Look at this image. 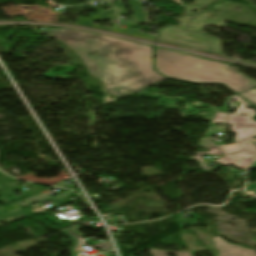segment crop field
<instances>
[{"mask_svg":"<svg viewBox=\"0 0 256 256\" xmlns=\"http://www.w3.org/2000/svg\"><path fill=\"white\" fill-rule=\"evenodd\" d=\"M50 31L55 39L72 48L79 55L92 76L102 78V69L109 64H116L127 70L124 75L125 82L104 84V89L114 96L165 79L152 70L151 47L70 29H50ZM89 40L108 42L116 50L89 56L86 50Z\"/></svg>","mask_w":256,"mask_h":256,"instance_id":"8a807250","label":"crop field"},{"mask_svg":"<svg viewBox=\"0 0 256 256\" xmlns=\"http://www.w3.org/2000/svg\"><path fill=\"white\" fill-rule=\"evenodd\" d=\"M209 16L207 12L181 16L177 18L181 22L180 27L167 26L159 30L158 40L222 54L219 39L200 33L205 25L223 26V20L208 18ZM191 19L194 20L191 22ZM189 26L192 27L188 28Z\"/></svg>","mask_w":256,"mask_h":256,"instance_id":"ac0d7876","label":"crop field"},{"mask_svg":"<svg viewBox=\"0 0 256 256\" xmlns=\"http://www.w3.org/2000/svg\"><path fill=\"white\" fill-rule=\"evenodd\" d=\"M178 79L195 83H223L237 93L256 87V82L235 72L229 65L211 60Z\"/></svg>","mask_w":256,"mask_h":256,"instance_id":"34b2d1b8","label":"crop field"},{"mask_svg":"<svg viewBox=\"0 0 256 256\" xmlns=\"http://www.w3.org/2000/svg\"><path fill=\"white\" fill-rule=\"evenodd\" d=\"M182 52H171L155 49V68L169 78L176 79L207 60L193 57L189 54L183 56Z\"/></svg>","mask_w":256,"mask_h":256,"instance_id":"412701ff","label":"crop field"},{"mask_svg":"<svg viewBox=\"0 0 256 256\" xmlns=\"http://www.w3.org/2000/svg\"><path fill=\"white\" fill-rule=\"evenodd\" d=\"M225 157L217 160L220 164L226 166L228 164L235 165L234 167L247 169L251 161L256 156V149L251 143L227 144L218 146ZM232 157H236L235 159Z\"/></svg>","mask_w":256,"mask_h":256,"instance_id":"f4fd0767","label":"crop field"},{"mask_svg":"<svg viewBox=\"0 0 256 256\" xmlns=\"http://www.w3.org/2000/svg\"><path fill=\"white\" fill-rule=\"evenodd\" d=\"M240 113L247 114V117L238 116ZM256 112L238 109L234 115L229 114L228 124L232 127L231 131L237 133L238 141H256L251 139L256 135V121H253V116Z\"/></svg>","mask_w":256,"mask_h":256,"instance_id":"dd49c442","label":"crop field"},{"mask_svg":"<svg viewBox=\"0 0 256 256\" xmlns=\"http://www.w3.org/2000/svg\"><path fill=\"white\" fill-rule=\"evenodd\" d=\"M215 248L219 251V256H256V251L245 249L239 245L226 242L219 236L212 237Z\"/></svg>","mask_w":256,"mask_h":256,"instance_id":"e52e79f7","label":"crop field"},{"mask_svg":"<svg viewBox=\"0 0 256 256\" xmlns=\"http://www.w3.org/2000/svg\"><path fill=\"white\" fill-rule=\"evenodd\" d=\"M103 73L104 83H115L123 80V75L126 73V70L116 65H109L105 67Z\"/></svg>","mask_w":256,"mask_h":256,"instance_id":"d8731c3e","label":"crop field"},{"mask_svg":"<svg viewBox=\"0 0 256 256\" xmlns=\"http://www.w3.org/2000/svg\"><path fill=\"white\" fill-rule=\"evenodd\" d=\"M90 42V41H89ZM87 49L89 52H100V51H108V50H115L114 47L108 43L104 42H94V44H89Z\"/></svg>","mask_w":256,"mask_h":256,"instance_id":"5a996713","label":"crop field"},{"mask_svg":"<svg viewBox=\"0 0 256 256\" xmlns=\"http://www.w3.org/2000/svg\"><path fill=\"white\" fill-rule=\"evenodd\" d=\"M240 95L245 97L252 105L254 106L256 105V90H249V91L240 93Z\"/></svg>","mask_w":256,"mask_h":256,"instance_id":"3316defc","label":"crop field"},{"mask_svg":"<svg viewBox=\"0 0 256 256\" xmlns=\"http://www.w3.org/2000/svg\"><path fill=\"white\" fill-rule=\"evenodd\" d=\"M152 256H165L166 253H174L177 256H190L187 252H167V251H160V250H150Z\"/></svg>","mask_w":256,"mask_h":256,"instance_id":"28ad6ade","label":"crop field"},{"mask_svg":"<svg viewBox=\"0 0 256 256\" xmlns=\"http://www.w3.org/2000/svg\"><path fill=\"white\" fill-rule=\"evenodd\" d=\"M229 98L240 102V103L237 105L238 108L246 109L245 107L250 106V105H248L247 103H245L241 98H239V97L236 96V95H234V96H232V97H229ZM246 110H247V109H246Z\"/></svg>","mask_w":256,"mask_h":256,"instance_id":"d1516ede","label":"crop field"},{"mask_svg":"<svg viewBox=\"0 0 256 256\" xmlns=\"http://www.w3.org/2000/svg\"><path fill=\"white\" fill-rule=\"evenodd\" d=\"M225 115L223 113H217L216 117L214 118L213 122L224 124Z\"/></svg>","mask_w":256,"mask_h":256,"instance_id":"22f410ed","label":"crop field"},{"mask_svg":"<svg viewBox=\"0 0 256 256\" xmlns=\"http://www.w3.org/2000/svg\"><path fill=\"white\" fill-rule=\"evenodd\" d=\"M212 1H213V0H196L192 5L206 7V6L209 5Z\"/></svg>","mask_w":256,"mask_h":256,"instance_id":"cbeb9de0","label":"crop field"},{"mask_svg":"<svg viewBox=\"0 0 256 256\" xmlns=\"http://www.w3.org/2000/svg\"><path fill=\"white\" fill-rule=\"evenodd\" d=\"M246 190H248L249 194L256 196V184H248Z\"/></svg>","mask_w":256,"mask_h":256,"instance_id":"5142ce71","label":"crop field"},{"mask_svg":"<svg viewBox=\"0 0 256 256\" xmlns=\"http://www.w3.org/2000/svg\"><path fill=\"white\" fill-rule=\"evenodd\" d=\"M183 8H185L186 14H190L191 10L201 11L202 9H204L203 7H196V6H185Z\"/></svg>","mask_w":256,"mask_h":256,"instance_id":"d9b57169","label":"crop field"}]
</instances>
